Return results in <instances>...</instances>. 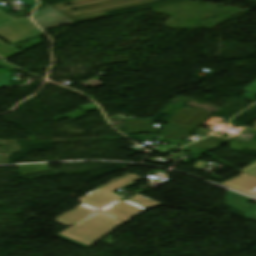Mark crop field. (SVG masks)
<instances>
[{"mask_svg": "<svg viewBox=\"0 0 256 256\" xmlns=\"http://www.w3.org/2000/svg\"><path fill=\"white\" fill-rule=\"evenodd\" d=\"M141 179L140 177L131 174L106 186L96 189L87 195L79 198L81 203L76 208L58 216L55 220L68 227L74 225L79 220L103 209L104 207L121 199L120 196L111 193L112 191Z\"/></svg>", "mask_w": 256, "mask_h": 256, "instance_id": "1", "label": "crop field"}, {"mask_svg": "<svg viewBox=\"0 0 256 256\" xmlns=\"http://www.w3.org/2000/svg\"><path fill=\"white\" fill-rule=\"evenodd\" d=\"M157 1L159 0H72L53 7L73 21L79 22L105 17V13L108 12ZM66 3H71L73 5L65 6ZM85 6L87 7L85 8ZM76 7H79L80 9L73 11L72 9ZM90 8H92V10H90Z\"/></svg>", "mask_w": 256, "mask_h": 256, "instance_id": "2", "label": "crop field"}, {"mask_svg": "<svg viewBox=\"0 0 256 256\" xmlns=\"http://www.w3.org/2000/svg\"><path fill=\"white\" fill-rule=\"evenodd\" d=\"M211 114L202 112V109H180L167 121L169 124L160 132L165 139L182 141L206 122Z\"/></svg>", "mask_w": 256, "mask_h": 256, "instance_id": "3", "label": "crop field"}, {"mask_svg": "<svg viewBox=\"0 0 256 256\" xmlns=\"http://www.w3.org/2000/svg\"><path fill=\"white\" fill-rule=\"evenodd\" d=\"M42 32L29 20L27 16L18 20L0 10V38L14 45Z\"/></svg>", "mask_w": 256, "mask_h": 256, "instance_id": "4", "label": "crop field"}, {"mask_svg": "<svg viewBox=\"0 0 256 256\" xmlns=\"http://www.w3.org/2000/svg\"><path fill=\"white\" fill-rule=\"evenodd\" d=\"M33 19L43 30L74 23L51 6L35 12Z\"/></svg>", "mask_w": 256, "mask_h": 256, "instance_id": "5", "label": "crop field"}, {"mask_svg": "<svg viewBox=\"0 0 256 256\" xmlns=\"http://www.w3.org/2000/svg\"><path fill=\"white\" fill-rule=\"evenodd\" d=\"M224 142L230 143L229 148L238 152H240L246 146V145H242V144H238V143H234V142H230V141H226V140H222L214 137H209L202 141L196 142L190 146L213 151L216 147H218ZM246 148L256 150V142L251 141L246 146Z\"/></svg>", "mask_w": 256, "mask_h": 256, "instance_id": "6", "label": "crop field"}, {"mask_svg": "<svg viewBox=\"0 0 256 256\" xmlns=\"http://www.w3.org/2000/svg\"><path fill=\"white\" fill-rule=\"evenodd\" d=\"M18 169H19V172H20L21 175L48 170V168L45 164L18 166Z\"/></svg>", "mask_w": 256, "mask_h": 256, "instance_id": "7", "label": "crop field"}, {"mask_svg": "<svg viewBox=\"0 0 256 256\" xmlns=\"http://www.w3.org/2000/svg\"><path fill=\"white\" fill-rule=\"evenodd\" d=\"M245 90L249 91L250 93L244 95L243 98L254 99V97L256 96V80L252 84H250Z\"/></svg>", "mask_w": 256, "mask_h": 256, "instance_id": "8", "label": "crop field"}, {"mask_svg": "<svg viewBox=\"0 0 256 256\" xmlns=\"http://www.w3.org/2000/svg\"><path fill=\"white\" fill-rule=\"evenodd\" d=\"M119 202H121V201H119ZM119 202H117V203H119ZM117 203H115V204H113V205H111V206H109V207H107V208H105L106 210L107 209H109V208H111L112 206H114V205H116ZM146 211V210H145ZM144 212V211H143ZM142 213V212H141ZM97 214V213H96ZM140 214V213H139ZM95 215V214H94ZM93 216V215H92ZM91 217V216H90ZM89 218V217H88ZM87 219V218H86ZM86 219H84V220H86ZM84 220H82V221H84ZM82 221H80V222H82ZM80 222H78V223H80ZM77 223V224H78ZM76 225V224H75ZM57 237H59V238H61V239H64V240H66V241H69V242H71V243H73V244H76V245H78V246H81V247H83V248H85V249H87V248H89V246H87V245H84V244H81V243H79V242H76V241H73V240H71V239H68V238H65V237H63V236H60V235H57Z\"/></svg>", "mask_w": 256, "mask_h": 256, "instance_id": "9", "label": "crop field"}, {"mask_svg": "<svg viewBox=\"0 0 256 256\" xmlns=\"http://www.w3.org/2000/svg\"><path fill=\"white\" fill-rule=\"evenodd\" d=\"M12 74H0V86H10V77Z\"/></svg>", "mask_w": 256, "mask_h": 256, "instance_id": "10", "label": "crop field"}, {"mask_svg": "<svg viewBox=\"0 0 256 256\" xmlns=\"http://www.w3.org/2000/svg\"><path fill=\"white\" fill-rule=\"evenodd\" d=\"M184 146V145H183ZM179 147V146H178ZM182 147V146H181ZM177 148V147H176ZM180 148V147H179ZM179 148H177V149H179ZM177 149H175V150H173L172 152H170L169 154H168V156H170L172 153H174Z\"/></svg>", "mask_w": 256, "mask_h": 256, "instance_id": "11", "label": "crop field"}, {"mask_svg": "<svg viewBox=\"0 0 256 256\" xmlns=\"http://www.w3.org/2000/svg\"><path fill=\"white\" fill-rule=\"evenodd\" d=\"M142 196V195H141ZM144 197V196H143ZM139 203V202H138ZM141 204V203H140Z\"/></svg>", "mask_w": 256, "mask_h": 256, "instance_id": "12", "label": "crop field"}, {"mask_svg": "<svg viewBox=\"0 0 256 256\" xmlns=\"http://www.w3.org/2000/svg\"><path fill=\"white\" fill-rule=\"evenodd\" d=\"M255 128H256V126H255Z\"/></svg>", "mask_w": 256, "mask_h": 256, "instance_id": "13", "label": "crop field"}]
</instances>
